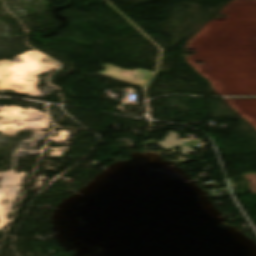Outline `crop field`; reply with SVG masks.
<instances>
[{
  "label": "crop field",
  "mask_w": 256,
  "mask_h": 256,
  "mask_svg": "<svg viewBox=\"0 0 256 256\" xmlns=\"http://www.w3.org/2000/svg\"><path fill=\"white\" fill-rule=\"evenodd\" d=\"M189 143V142H188ZM184 144H186V143H184Z\"/></svg>",
  "instance_id": "34b2d1b8"
},
{
  "label": "crop field",
  "mask_w": 256,
  "mask_h": 256,
  "mask_svg": "<svg viewBox=\"0 0 256 256\" xmlns=\"http://www.w3.org/2000/svg\"><path fill=\"white\" fill-rule=\"evenodd\" d=\"M102 68L106 69L96 75H100L106 78H110L113 80H117L120 82H124L130 85H134L137 87L143 88L145 83L148 81L150 76L152 75V72L145 71V70H134L131 72H134L135 74L131 76L130 78L120 75L123 71L128 70H122L116 67H112L109 65H103Z\"/></svg>",
  "instance_id": "8a807250"
},
{
  "label": "crop field",
  "mask_w": 256,
  "mask_h": 256,
  "mask_svg": "<svg viewBox=\"0 0 256 256\" xmlns=\"http://www.w3.org/2000/svg\"><path fill=\"white\" fill-rule=\"evenodd\" d=\"M122 75L130 77L131 75H133V73H131V72H124Z\"/></svg>",
  "instance_id": "ac0d7876"
}]
</instances>
